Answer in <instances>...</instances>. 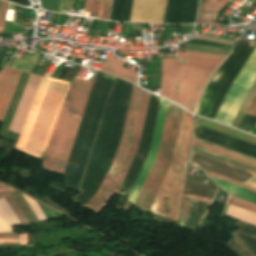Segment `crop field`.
<instances>
[{
  "label": "crop field",
  "mask_w": 256,
  "mask_h": 256,
  "mask_svg": "<svg viewBox=\"0 0 256 256\" xmlns=\"http://www.w3.org/2000/svg\"><path fill=\"white\" fill-rule=\"evenodd\" d=\"M92 83L76 78L72 81L46 147L44 168L64 173ZM149 96V93L133 85L120 147L101 188L88 204L97 210L102 211L112 193L118 192L138 150ZM89 162L79 190H81Z\"/></svg>",
  "instance_id": "1"
},
{
  "label": "crop field",
  "mask_w": 256,
  "mask_h": 256,
  "mask_svg": "<svg viewBox=\"0 0 256 256\" xmlns=\"http://www.w3.org/2000/svg\"><path fill=\"white\" fill-rule=\"evenodd\" d=\"M224 58L179 53L178 59H162L160 95L194 111L210 76Z\"/></svg>",
  "instance_id": "2"
},
{
  "label": "crop field",
  "mask_w": 256,
  "mask_h": 256,
  "mask_svg": "<svg viewBox=\"0 0 256 256\" xmlns=\"http://www.w3.org/2000/svg\"><path fill=\"white\" fill-rule=\"evenodd\" d=\"M70 84L42 78L16 149L41 158Z\"/></svg>",
  "instance_id": "3"
},
{
  "label": "crop field",
  "mask_w": 256,
  "mask_h": 256,
  "mask_svg": "<svg viewBox=\"0 0 256 256\" xmlns=\"http://www.w3.org/2000/svg\"><path fill=\"white\" fill-rule=\"evenodd\" d=\"M180 126L182 127V131L180 128L172 162L170 164V167L165 177L184 182L188 162L182 161L184 148L178 147V143H179V137H180V131H181L179 146L185 147L183 160L188 161L189 149H190L191 137H192V128H193L192 115L184 111ZM183 185L184 183L182 182L165 178L157 193V196L160 197V199L157 197L155 198L149 212H153L164 217L167 211L166 209H168L165 217L178 221L179 215L173 214V210H174L176 192L182 193ZM181 197H182V194L177 193L174 213L179 214ZM158 199L163 201V203L158 201ZM161 203H162V206H161ZM160 206L166 209H162L160 208Z\"/></svg>",
  "instance_id": "4"
},
{
  "label": "crop field",
  "mask_w": 256,
  "mask_h": 256,
  "mask_svg": "<svg viewBox=\"0 0 256 256\" xmlns=\"http://www.w3.org/2000/svg\"><path fill=\"white\" fill-rule=\"evenodd\" d=\"M183 109L169 103L157 157L135 203L149 211L167 168L171 162Z\"/></svg>",
  "instance_id": "5"
},
{
  "label": "crop field",
  "mask_w": 256,
  "mask_h": 256,
  "mask_svg": "<svg viewBox=\"0 0 256 256\" xmlns=\"http://www.w3.org/2000/svg\"><path fill=\"white\" fill-rule=\"evenodd\" d=\"M252 50L253 48L242 45L235 55L230 54L228 56L212 76L195 113L208 118H214L232 82Z\"/></svg>",
  "instance_id": "6"
},
{
  "label": "crop field",
  "mask_w": 256,
  "mask_h": 256,
  "mask_svg": "<svg viewBox=\"0 0 256 256\" xmlns=\"http://www.w3.org/2000/svg\"><path fill=\"white\" fill-rule=\"evenodd\" d=\"M256 78V47L235 79L225 97L215 120L231 125L250 86Z\"/></svg>",
  "instance_id": "7"
},
{
  "label": "crop field",
  "mask_w": 256,
  "mask_h": 256,
  "mask_svg": "<svg viewBox=\"0 0 256 256\" xmlns=\"http://www.w3.org/2000/svg\"><path fill=\"white\" fill-rule=\"evenodd\" d=\"M159 101H160L159 98H157L153 95L150 96L139 150H138V152L132 162V165L125 177V180L118 192L123 195H122L121 199L119 200V202L117 203L116 208L122 209L123 205L125 204L128 196L131 192V189L135 183V180L140 172V169L144 163V160L148 154Z\"/></svg>",
  "instance_id": "8"
},
{
  "label": "crop field",
  "mask_w": 256,
  "mask_h": 256,
  "mask_svg": "<svg viewBox=\"0 0 256 256\" xmlns=\"http://www.w3.org/2000/svg\"><path fill=\"white\" fill-rule=\"evenodd\" d=\"M190 162L202 169L239 181L256 188V174L216 159L193 152Z\"/></svg>",
  "instance_id": "9"
},
{
  "label": "crop field",
  "mask_w": 256,
  "mask_h": 256,
  "mask_svg": "<svg viewBox=\"0 0 256 256\" xmlns=\"http://www.w3.org/2000/svg\"><path fill=\"white\" fill-rule=\"evenodd\" d=\"M167 101H164L161 99L160 101V105H159V110H158V114H157V119H156V123H155V128H154V132H153V137H152V141H151V146H150V150H149V154L145 160V163L141 169V172L136 180V183L132 189V192L128 198L129 201H131L132 203H135L138 194L143 186V183L147 177V174L152 166V163L156 157V153H157V149H158V144H159V140H160V135H161V131H162V126H163V122H164V117H165V113H166V108H167Z\"/></svg>",
  "instance_id": "10"
},
{
  "label": "crop field",
  "mask_w": 256,
  "mask_h": 256,
  "mask_svg": "<svg viewBox=\"0 0 256 256\" xmlns=\"http://www.w3.org/2000/svg\"><path fill=\"white\" fill-rule=\"evenodd\" d=\"M42 77L36 75H30L21 100L18 104L14 117L9 127V131L16 132L21 131L25 118L35 96L36 90Z\"/></svg>",
  "instance_id": "11"
},
{
  "label": "crop field",
  "mask_w": 256,
  "mask_h": 256,
  "mask_svg": "<svg viewBox=\"0 0 256 256\" xmlns=\"http://www.w3.org/2000/svg\"><path fill=\"white\" fill-rule=\"evenodd\" d=\"M21 72L6 67L0 73V120L2 121Z\"/></svg>",
  "instance_id": "12"
},
{
  "label": "crop field",
  "mask_w": 256,
  "mask_h": 256,
  "mask_svg": "<svg viewBox=\"0 0 256 256\" xmlns=\"http://www.w3.org/2000/svg\"><path fill=\"white\" fill-rule=\"evenodd\" d=\"M124 64L125 62L115 57L108 58L104 62L101 71L123 78L136 84L138 73L122 67Z\"/></svg>",
  "instance_id": "13"
},
{
  "label": "crop field",
  "mask_w": 256,
  "mask_h": 256,
  "mask_svg": "<svg viewBox=\"0 0 256 256\" xmlns=\"http://www.w3.org/2000/svg\"><path fill=\"white\" fill-rule=\"evenodd\" d=\"M214 181L222 187L228 194L241 198L243 200L252 202L256 204V192L248 190L246 188L222 181L220 179L214 178Z\"/></svg>",
  "instance_id": "14"
},
{
  "label": "crop field",
  "mask_w": 256,
  "mask_h": 256,
  "mask_svg": "<svg viewBox=\"0 0 256 256\" xmlns=\"http://www.w3.org/2000/svg\"><path fill=\"white\" fill-rule=\"evenodd\" d=\"M6 202L4 199L0 200V232H14L12 225L20 222Z\"/></svg>",
  "instance_id": "15"
},
{
  "label": "crop field",
  "mask_w": 256,
  "mask_h": 256,
  "mask_svg": "<svg viewBox=\"0 0 256 256\" xmlns=\"http://www.w3.org/2000/svg\"><path fill=\"white\" fill-rule=\"evenodd\" d=\"M196 123H197V124H200V125H203V126H205V127H208V128L214 129V130H217V131H219V132H222V133L231 135V136H233V137H236V138L245 140V141H247V142L256 144V138H254V137H251V136L245 135V134H243V133H240V132L231 130V129H229V128H226V127L220 126V125H218V124H215V123L206 121V120H204V119L197 118V119H196Z\"/></svg>",
  "instance_id": "16"
},
{
  "label": "crop field",
  "mask_w": 256,
  "mask_h": 256,
  "mask_svg": "<svg viewBox=\"0 0 256 256\" xmlns=\"http://www.w3.org/2000/svg\"><path fill=\"white\" fill-rule=\"evenodd\" d=\"M183 200H185V199H183ZM187 201H190V200H187ZM189 206H190V202L183 201L180 222H183L186 219H188ZM197 206H198V202L191 201L189 219L186 220L183 223H180V225L187 226V227L195 229Z\"/></svg>",
  "instance_id": "17"
},
{
  "label": "crop field",
  "mask_w": 256,
  "mask_h": 256,
  "mask_svg": "<svg viewBox=\"0 0 256 256\" xmlns=\"http://www.w3.org/2000/svg\"><path fill=\"white\" fill-rule=\"evenodd\" d=\"M256 124V94L239 126V129L252 133Z\"/></svg>",
  "instance_id": "18"
},
{
  "label": "crop field",
  "mask_w": 256,
  "mask_h": 256,
  "mask_svg": "<svg viewBox=\"0 0 256 256\" xmlns=\"http://www.w3.org/2000/svg\"><path fill=\"white\" fill-rule=\"evenodd\" d=\"M227 215L256 225V214L228 205Z\"/></svg>",
  "instance_id": "19"
},
{
  "label": "crop field",
  "mask_w": 256,
  "mask_h": 256,
  "mask_svg": "<svg viewBox=\"0 0 256 256\" xmlns=\"http://www.w3.org/2000/svg\"><path fill=\"white\" fill-rule=\"evenodd\" d=\"M255 92H256V80L253 83V85L251 86V88H250L242 106L240 107V109H239V111H238V113H237V115H236V117H235V119L232 123V126L238 128V126H239V124H240V122H241V120H242V118H243V116H244V114H245V112H246V110H247Z\"/></svg>",
  "instance_id": "20"
},
{
  "label": "crop field",
  "mask_w": 256,
  "mask_h": 256,
  "mask_svg": "<svg viewBox=\"0 0 256 256\" xmlns=\"http://www.w3.org/2000/svg\"><path fill=\"white\" fill-rule=\"evenodd\" d=\"M193 145H194V146H197V147H200V148H202V149H205V150H208V151H211V152L220 154V155H222V156H225V157H228V158L237 160V161H239V162H242V163H245V164H248V165H251V166L256 167V163H255V162H252V161L243 159V158H241V157H238V156H235V155H232V154L223 152V151H221V150H218V149H215V148H212V147L203 145V144H201V143H198V142H195V141H194V144H193Z\"/></svg>",
  "instance_id": "21"
},
{
  "label": "crop field",
  "mask_w": 256,
  "mask_h": 256,
  "mask_svg": "<svg viewBox=\"0 0 256 256\" xmlns=\"http://www.w3.org/2000/svg\"><path fill=\"white\" fill-rule=\"evenodd\" d=\"M9 206L12 208L16 216L18 217L21 224L28 223L29 220L26 217V215L23 213V211L20 209V207L17 205V203L14 201V199L10 196L4 198Z\"/></svg>",
  "instance_id": "22"
},
{
  "label": "crop field",
  "mask_w": 256,
  "mask_h": 256,
  "mask_svg": "<svg viewBox=\"0 0 256 256\" xmlns=\"http://www.w3.org/2000/svg\"><path fill=\"white\" fill-rule=\"evenodd\" d=\"M227 203L236 205L238 207H241V208H244V209H247V210H250V211L256 213V205H254L252 203H249V202H246V201H243V200H240L238 198L230 196Z\"/></svg>",
  "instance_id": "23"
},
{
  "label": "crop field",
  "mask_w": 256,
  "mask_h": 256,
  "mask_svg": "<svg viewBox=\"0 0 256 256\" xmlns=\"http://www.w3.org/2000/svg\"><path fill=\"white\" fill-rule=\"evenodd\" d=\"M194 140H195V141H198V142H201V143H203V144H206V145H209V146H212V147L221 149V150H223V151H226V152H229V153H232V154H235V155H238V156H241V157H243V158H246V159H249V160H252V161H255V162H256V159H255V158H252V157L243 155V154H241V153H238V152H235V151H232V150L223 148V147H221V146H218V145H215V144H212V143L203 141V140L198 139V138H195V137H194Z\"/></svg>",
  "instance_id": "24"
},
{
  "label": "crop field",
  "mask_w": 256,
  "mask_h": 256,
  "mask_svg": "<svg viewBox=\"0 0 256 256\" xmlns=\"http://www.w3.org/2000/svg\"><path fill=\"white\" fill-rule=\"evenodd\" d=\"M217 13H199L197 23H215Z\"/></svg>",
  "instance_id": "25"
},
{
  "label": "crop field",
  "mask_w": 256,
  "mask_h": 256,
  "mask_svg": "<svg viewBox=\"0 0 256 256\" xmlns=\"http://www.w3.org/2000/svg\"><path fill=\"white\" fill-rule=\"evenodd\" d=\"M41 2L43 8L59 12L61 0H41Z\"/></svg>",
  "instance_id": "26"
},
{
  "label": "crop field",
  "mask_w": 256,
  "mask_h": 256,
  "mask_svg": "<svg viewBox=\"0 0 256 256\" xmlns=\"http://www.w3.org/2000/svg\"><path fill=\"white\" fill-rule=\"evenodd\" d=\"M18 237L19 239H0V244L19 243L22 245L29 243L26 233L20 234Z\"/></svg>",
  "instance_id": "27"
},
{
  "label": "crop field",
  "mask_w": 256,
  "mask_h": 256,
  "mask_svg": "<svg viewBox=\"0 0 256 256\" xmlns=\"http://www.w3.org/2000/svg\"><path fill=\"white\" fill-rule=\"evenodd\" d=\"M23 196H24V195H23ZM24 197H25V196H24ZM25 198H26V200L28 201V203H29V205L31 206V208L33 209V211L35 212V214H36V216L38 217L39 221H44V220H46V218H45V216H44V214H43L41 208L38 206V204H37L35 201H33V200H31V199H29V198H27V197H25Z\"/></svg>",
  "instance_id": "28"
},
{
  "label": "crop field",
  "mask_w": 256,
  "mask_h": 256,
  "mask_svg": "<svg viewBox=\"0 0 256 256\" xmlns=\"http://www.w3.org/2000/svg\"><path fill=\"white\" fill-rule=\"evenodd\" d=\"M8 4L9 3L3 2V1L1 3V7H0V33L3 32V30H4L5 16H6Z\"/></svg>",
  "instance_id": "29"
},
{
  "label": "crop field",
  "mask_w": 256,
  "mask_h": 256,
  "mask_svg": "<svg viewBox=\"0 0 256 256\" xmlns=\"http://www.w3.org/2000/svg\"><path fill=\"white\" fill-rule=\"evenodd\" d=\"M197 39L215 41V42L226 43V44H232V45H235V43H236L235 40H229V39L218 38V37L207 36V35H203V36H201V37H198Z\"/></svg>",
  "instance_id": "30"
},
{
  "label": "crop field",
  "mask_w": 256,
  "mask_h": 256,
  "mask_svg": "<svg viewBox=\"0 0 256 256\" xmlns=\"http://www.w3.org/2000/svg\"><path fill=\"white\" fill-rule=\"evenodd\" d=\"M229 0H215L204 11H219Z\"/></svg>",
  "instance_id": "31"
},
{
  "label": "crop field",
  "mask_w": 256,
  "mask_h": 256,
  "mask_svg": "<svg viewBox=\"0 0 256 256\" xmlns=\"http://www.w3.org/2000/svg\"><path fill=\"white\" fill-rule=\"evenodd\" d=\"M131 6H132V0H125L122 21H129Z\"/></svg>",
  "instance_id": "32"
},
{
  "label": "crop field",
  "mask_w": 256,
  "mask_h": 256,
  "mask_svg": "<svg viewBox=\"0 0 256 256\" xmlns=\"http://www.w3.org/2000/svg\"><path fill=\"white\" fill-rule=\"evenodd\" d=\"M188 43H197V44H206V45H214V46H222V47L233 48L232 45L214 43V42L203 41V40H197V39L190 40V41H188Z\"/></svg>",
  "instance_id": "33"
},
{
  "label": "crop field",
  "mask_w": 256,
  "mask_h": 256,
  "mask_svg": "<svg viewBox=\"0 0 256 256\" xmlns=\"http://www.w3.org/2000/svg\"><path fill=\"white\" fill-rule=\"evenodd\" d=\"M192 150H193V151H196V152H199V153H201V154H204V155H207V156H210V157H213V158L219 159V160H221V161H224V162H227V163H230V164L236 165V166H238V167H241V168H244V169H247V170L253 171V172H255V173H256V171H255V170H253V169H250V168H247V167L241 166V165H239V164H236V163H233V162L227 161V160H225V159H222V158H219V157L213 156V155H211V154H208V153H205V152L199 151V150L194 149V148H193Z\"/></svg>",
  "instance_id": "34"
},
{
  "label": "crop field",
  "mask_w": 256,
  "mask_h": 256,
  "mask_svg": "<svg viewBox=\"0 0 256 256\" xmlns=\"http://www.w3.org/2000/svg\"><path fill=\"white\" fill-rule=\"evenodd\" d=\"M206 172H207L209 175H211V176H214V177L220 178V179H222V180H225V181H228V182H231V183H234V184H237V185H240V186H243V187H246V188H248V189H251V190L256 191V189H255V188H252V187H250V186H247V185H244V184L238 183V182H236V181H233V180H230V179L224 178V177H222V176H219V175H216V174L210 173V172H208V171H206Z\"/></svg>",
  "instance_id": "35"
},
{
  "label": "crop field",
  "mask_w": 256,
  "mask_h": 256,
  "mask_svg": "<svg viewBox=\"0 0 256 256\" xmlns=\"http://www.w3.org/2000/svg\"><path fill=\"white\" fill-rule=\"evenodd\" d=\"M104 5H105V3L100 2L97 18L102 19V17H103V11H104Z\"/></svg>",
  "instance_id": "36"
},
{
  "label": "crop field",
  "mask_w": 256,
  "mask_h": 256,
  "mask_svg": "<svg viewBox=\"0 0 256 256\" xmlns=\"http://www.w3.org/2000/svg\"><path fill=\"white\" fill-rule=\"evenodd\" d=\"M193 147H194V146H193ZM194 148H197V147H194ZM197 149L202 150V149H200V148H197ZM202 151H205V150H202ZM205 152H208V151H205ZM208 153H211V152H208ZM211 154L216 155V156H219V157H222V156L217 155V154H214V153H211ZM222 158H225V157H222ZM225 159L230 160V161H233V162H236V163H239V162H237V161H234V160H231V159H228V158H225ZM239 164L244 165V166H247V167H250V168H253V169L256 170V168H254V167H251V166H248V165H245V164H242V163H239Z\"/></svg>",
  "instance_id": "37"
},
{
  "label": "crop field",
  "mask_w": 256,
  "mask_h": 256,
  "mask_svg": "<svg viewBox=\"0 0 256 256\" xmlns=\"http://www.w3.org/2000/svg\"><path fill=\"white\" fill-rule=\"evenodd\" d=\"M98 5H99V2H98V1H94V0H93L91 13L97 14V11H98Z\"/></svg>",
  "instance_id": "38"
},
{
  "label": "crop field",
  "mask_w": 256,
  "mask_h": 256,
  "mask_svg": "<svg viewBox=\"0 0 256 256\" xmlns=\"http://www.w3.org/2000/svg\"><path fill=\"white\" fill-rule=\"evenodd\" d=\"M183 197H186V198H192V199H197V200H201V201H205V202H211L210 199H205V198H200V197H195V196H190V195H185Z\"/></svg>",
  "instance_id": "39"
},
{
  "label": "crop field",
  "mask_w": 256,
  "mask_h": 256,
  "mask_svg": "<svg viewBox=\"0 0 256 256\" xmlns=\"http://www.w3.org/2000/svg\"><path fill=\"white\" fill-rule=\"evenodd\" d=\"M91 3H92V0H86L85 1L84 11L90 12V10H91Z\"/></svg>",
  "instance_id": "40"
},
{
  "label": "crop field",
  "mask_w": 256,
  "mask_h": 256,
  "mask_svg": "<svg viewBox=\"0 0 256 256\" xmlns=\"http://www.w3.org/2000/svg\"><path fill=\"white\" fill-rule=\"evenodd\" d=\"M109 8H110V5L106 3L103 19L108 20V16H109Z\"/></svg>",
  "instance_id": "41"
},
{
  "label": "crop field",
  "mask_w": 256,
  "mask_h": 256,
  "mask_svg": "<svg viewBox=\"0 0 256 256\" xmlns=\"http://www.w3.org/2000/svg\"><path fill=\"white\" fill-rule=\"evenodd\" d=\"M0 238H17L16 234H0Z\"/></svg>",
  "instance_id": "42"
},
{
  "label": "crop field",
  "mask_w": 256,
  "mask_h": 256,
  "mask_svg": "<svg viewBox=\"0 0 256 256\" xmlns=\"http://www.w3.org/2000/svg\"><path fill=\"white\" fill-rule=\"evenodd\" d=\"M67 0H62L60 12L65 13Z\"/></svg>",
  "instance_id": "43"
},
{
  "label": "crop field",
  "mask_w": 256,
  "mask_h": 256,
  "mask_svg": "<svg viewBox=\"0 0 256 256\" xmlns=\"http://www.w3.org/2000/svg\"><path fill=\"white\" fill-rule=\"evenodd\" d=\"M184 53H193V54H202V55H211V56H221V57H226V56H223V55L206 54V53H197V52H189V51H185Z\"/></svg>",
  "instance_id": "44"
},
{
  "label": "crop field",
  "mask_w": 256,
  "mask_h": 256,
  "mask_svg": "<svg viewBox=\"0 0 256 256\" xmlns=\"http://www.w3.org/2000/svg\"><path fill=\"white\" fill-rule=\"evenodd\" d=\"M214 0H208L200 9L199 11H203L210 3H212Z\"/></svg>",
  "instance_id": "45"
},
{
  "label": "crop field",
  "mask_w": 256,
  "mask_h": 256,
  "mask_svg": "<svg viewBox=\"0 0 256 256\" xmlns=\"http://www.w3.org/2000/svg\"><path fill=\"white\" fill-rule=\"evenodd\" d=\"M11 192H13V191H1V192H0V199L3 198V197H5V196H7V195L10 194Z\"/></svg>",
  "instance_id": "46"
},
{
  "label": "crop field",
  "mask_w": 256,
  "mask_h": 256,
  "mask_svg": "<svg viewBox=\"0 0 256 256\" xmlns=\"http://www.w3.org/2000/svg\"><path fill=\"white\" fill-rule=\"evenodd\" d=\"M0 189H10V188H8V187H6V186L0 184Z\"/></svg>",
  "instance_id": "47"
},
{
  "label": "crop field",
  "mask_w": 256,
  "mask_h": 256,
  "mask_svg": "<svg viewBox=\"0 0 256 256\" xmlns=\"http://www.w3.org/2000/svg\"><path fill=\"white\" fill-rule=\"evenodd\" d=\"M207 0H202L201 1V6L206 2Z\"/></svg>",
  "instance_id": "48"
},
{
  "label": "crop field",
  "mask_w": 256,
  "mask_h": 256,
  "mask_svg": "<svg viewBox=\"0 0 256 256\" xmlns=\"http://www.w3.org/2000/svg\"><path fill=\"white\" fill-rule=\"evenodd\" d=\"M101 1H105V2H109V3H111V0H101Z\"/></svg>",
  "instance_id": "49"
},
{
  "label": "crop field",
  "mask_w": 256,
  "mask_h": 256,
  "mask_svg": "<svg viewBox=\"0 0 256 256\" xmlns=\"http://www.w3.org/2000/svg\"><path fill=\"white\" fill-rule=\"evenodd\" d=\"M34 1H36V0H34Z\"/></svg>",
  "instance_id": "50"
}]
</instances>
